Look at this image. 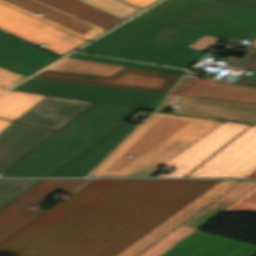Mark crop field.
Listing matches in <instances>:
<instances>
[{"label":"crop field","instance_id":"d1516ede","mask_svg":"<svg viewBox=\"0 0 256 256\" xmlns=\"http://www.w3.org/2000/svg\"><path fill=\"white\" fill-rule=\"evenodd\" d=\"M179 105L172 113L251 124L256 120V105L172 95L159 108Z\"/></svg>","mask_w":256,"mask_h":256},{"label":"crop field","instance_id":"d8731c3e","mask_svg":"<svg viewBox=\"0 0 256 256\" xmlns=\"http://www.w3.org/2000/svg\"><path fill=\"white\" fill-rule=\"evenodd\" d=\"M0 29L60 55L86 41L3 4Z\"/></svg>","mask_w":256,"mask_h":256},{"label":"crop field","instance_id":"d3111659","mask_svg":"<svg viewBox=\"0 0 256 256\" xmlns=\"http://www.w3.org/2000/svg\"><path fill=\"white\" fill-rule=\"evenodd\" d=\"M25 78L26 77L21 76L17 73L0 68V87L1 88L7 89Z\"/></svg>","mask_w":256,"mask_h":256},{"label":"crop field","instance_id":"e52e79f7","mask_svg":"<svg viewBox=\"0 0 256 256\" xmlns=\"http://www.w3.org/2000/svg\"><path fill=\"white\" fill-rule=\"evenodd\" d=\"M13 90L155 110L165 95L31 77Z\"/></svg>","mask_w":256,"mask_h":256},{"label":"crop field","instance_id":"cbeb9de0","mask_svg":"<svg viewBox=\"0 0 256 256\" xmlns=\"http://www.w3.org/2000/svg\"><path fill=\"white\" fill-rule=\"evenodd\" d=\"M247 127L225 122L167 162L166 165L177 167L168 176L183 177Z\"/></svg>","mask_w":256,"mask_h":256},{"label":"crop field","instance_id":"a9b5d70f","mask_svg":"<svg viewBox=\"0 0 256 256\" xmlns=\"http://www.w3.org/2000/svg\"><path fill=\"white\" fill-rule=\"evenodd\" d=\"M42 179H0V209Z\"/></svg>","mask_w":256,"mask_h":256},{"label":"crop field","instance_id":"5866460e","mask_svg":"<svg viewBox=\"0 0 256 256\" xmlns=\"http://www.w3.org/2000/svg\"><path fill=\"white\" fill-rule=\"evenodd\" d=\"M247 177H256V171H254L253 173H251V174L248 175Z\"/></svg>","mask_w":256,"mask_h":256},{"label":"crop field","instance_id":"00972430","mask_svg":"<svg viewBox=\"0 0 256 256\" xmlns=\"http://www.w3.org/2000/svg\"><path fill=\"white\" fill-rule=\"evenodd\" d=\"M122 68L124 67L66 57L47 69L110 76Z\"/></svg>","mask_w":256,"mask_h":256},{"label":"crop field","instance_id":"730fd06b","mask_svg":"<svg viewBox=\"0 0 256 256\" xmlns=\"http://www.w3.org/2000/svg\"><path fill=\"white\" fill-rule=\"evenodd\" d=\"M69 56L76 57V58H82V59H88V60H94V61H100V62H106V63H112V64H118V65H124V66H130V67L163 71V72H173V73L183 74L185 71L183 69L143 64V63L130 62V61H123V60L110 59V58H103V57L90 56V55H83V54H77V53H73Z\"/></svg>","mask_w":256,"mask_h":256},{"label":"crop field","instance_id":"d9b57169","mask_svg":"<svg viewBox=\"0 0 256 256\" xmlns=\"http://www.w3.org/2000/svg\"><path fill=\"white\" fill-rule=\"evenodd\" d=\"M0 3L14 7L39 20L86 40L105 30L38 0H0ZM39 13L45 16L42 17L38 15Z\"/></svg>","mask_w":256,"mask_h":256},{"label":"crop field","instance_id":"750c4746","mask_svg":"<svg viewBox=\"0 0 256 256\" xmlns=\"http://www.w3.org/2000/svg\"><path fill=\"white\" fill-rule=\"evenodd\" d=\"M0 67H3L5 69L17 72L19 74H22L26 77L36 73L37 71L32 70L30 68H27L25 66H22L20 64H17L15 62H12L10 60H7L5 58L0 57Z\"/></svg>","mask_w":256,"mask_h":256},{"label":"crop field","instance_id":"d32e631a","mask_svg":"<svg viewBox=\"0 0 256 256\" xmlns=\"http://www.w3.org/2000/svg\"><path fill=\"white\" fill-rule=\"evenodd\" d=\"M7 34H8V33H6V32H4V31H1V30H0V38L3 37V36H5V35H7Z\"/></svg>","mask_w":256,"mask_h":256},{"label":"crop field","instance_id":"bc2a9ffb","mask_svg":"<svg viewBox=\"0 0 256 256\" xmlns=\"http://www.w3.org/2000/svg\"><path fill=\"white\" fill-rule=\"evenodd\" d=\"M53 131L13 122L0 132V172Z\"/></svg>","mask_w":256,"mask_h":256},{"label":"crop field","instance_id":"5a996713","mask_svg":"<svg viewBox=\"0 0 256 256\" xmlns=\"http://www.w3.org/2000/svg\"><path fill=\"white\" fill-rule=\"evenodd\" d=\"M89 179H43L22 196L0 210V242L36 219L45 211L37 209L41 200L60 189L72 192ZM36 207L35 209L30 208Z\"/></svg>","mask_w":256,"mask_h":256},{"label":"crop field","instance_id":"733c2abd","mask_svg":"<svg viewBox=\"0 0 256 256\" xmlns=\"http://www.w3.org/2000/svg\"><path fill=\"white\" fill-rule=\"evenodd\" d=\"M92 103L46 96L15 121L57 130Z\"/></svg>","mask_w":256,"mask_h":256},{"label":"crop field","instance_id":"dafd665d","mask_svg":"<svg viewBox=\"0 0 256 256\" xmlns=\"http://www.w3.org/2000/svg\"><path fill=\"white\" fill-rule=\"evenodd\" d=\"M43 97L45 96L9 90L0 97V118L14 121Z\"/></svg>","mask_w":256,"mask_h":256},{"label":"crop field","instance_id":"120bbe31","mask_svg":"<svg viewBox=\"0 0 256 256\" xmlns=\"http://www.w3.org/2000/svg\"><path fill=\"white\" fill-rule=\"evenodd\" d=\"M11 121L0 119V131L3 130L6 126H8Z\"/></svg>","mask_w":256,"mask_h":256},{"label":"crop field","instance_id":"ac0d7876","mask_svg":"<svg viewBox=\"0 0 256 256\" xmlns=\"http://www.w3.org/2000/svg\"><path fill=\"white\" fill-rule=\"evenodd\" d=\"M222 123L217 120L156 113L136 129L90 176H147ZM129 154L134 157H127Z\"/></svg>","mask_w":256,"mask_h":256},{"label":"crop field","instance_id":"bd1437ed","mask_svg":"<svg viewBox=\"0 0 256 256\" xmlns=\"http://www.w3.org/2000/svg\"><path fill=\"white\" fill-rule=\"evenodd\" d=\"M236 83L256 86V71L247 70V72Z\"/></svg>","mask_w":256,"mask_h":256},{"label":"crop field","instance_id":"8a807250","mask_svg":"<svg viewBox=\"0 0 256 256\" xmlns=\"http://www.w3.org/2000/svg\"><path fill=\"white\" fill-rule=\"evenodd\" d=\"M217 182L93 179L0 243V256H115Z\"/></svg>","mask_w":256,"mask_h":256},{"label":"crop field","instance_id":"5142ce71","mask_svg":"<svg viewBox=\"0 0 256 256\" xmlns=\"http://www.w3.org/2000/svg\"><path fill=\"white\" fill-rule=\"evenodd\" d=\"M240 181L222 180L116 256H136Z\"/></svg>","mask_w":256,"mask_h":256},{"label":"crop field","instance_id":"4a817a6b","mask_svg":"<svg viewBox=\"0 0 256 256\" xmlns=\"http://www.w3.org/2000/svg\"><path fill=\"white\" fill-rule=\"evenodd\" d=\"M173 94L256 104V87L183 77Z\"/></svg>","mask_w":256,"mask_h":256},{"label":"crop field","instance_id":"ae1a2a85","mask_svg":"<svg viewBox=\"0 0 256 256\" xmlns=\"http://www.w3.org/2000/svg\"><path fill=\"white\" fill-rule=\"evenodd\" d=\"M252 44L249 45V48H253L251 51H253L256 48V39L251 42ZM250 51V52H251ZM250 52L245 54L241 59L235 58L233 56L227 58L225 61L237 65L241 68L244 69H251V70H256V58L247 56Z\"/></svg>","mask_w":256,"mask_h":256},{"label":"crop field","instance_id":"92a150f3","mask_svg":"<svg viewBox=\"0 0 256 256\" xmlns=\"http://www.w3.org/2000/svg\"><path fill=\"white\" fill-rule=\"evenodd\" d=\"M105 29H108L122 20L97 10L77 0H40Z\"/></svg>","mask_w":256,"mask_h":256},{"label":"crop field","instance_id":"028f5c9d","mask_svg":"<svg viewBox=\"0 0 256 256\" xmlns=\"http://www.w3.org/2000/svg\"><path fill=\"white\" fill-rule=\"evenodd\" d=\"M3 91H4V89H1V88H0V93H2Z\"/></svg>","mask_w":256,"mask_h":256},{"label":"crop field","instance_id":"eef30255","mask_svg":"<svg viewBox=\"0 0 256 256\" xmlns=\"http://www.w3.org/2000/svg\"><path fill=\"white\" fill-rule=\"evenodd\" d=\"M223 212L256 213V187Z\"/></svg>","mask_w":256,"mask_h":256},{"label":"crop field","instance_id":"214f88e0","mask_svg":"<svg viewBox=\"0 0 256 256\" xmlns=\"http://www.w3.org/2000/svg\"><path fill=\"white\" fill-rule=\"evenodd\" d=\"M0 56L37 71L60 58L11 35L0 40Z\"/></svg>","mask_w":256,"mask_h":256},{"label":"crop field","instance_id":"412701ff","mask_svg":"<svg viewBox=\"0 0 256 256\" xmlns=\"http://www.w3.org/2000/svg\"><path fill=\"white\" fill-rule=\"evenodd\" d=\"M134 18L205 34L188 46L199 51L220 38L256 37L255 12L210 0H164Z\"/></svg>","mask_w":256,"mask_h":256},{"label":"crop field","instance_id":"f4fd0767","mask_svg":"<svg viewBox=\"0 0 256 256\" xmlns=\"http://www.w3.org/2000/svg\"><path fill=\"white\" fill-rule=\"evenodd\" d=\"M136 111L96 104L22 156L25 161L16 162L0 176L47 177Z\"/></svg>","mask_w":256,"mask_h":256},{"label":"crop field","instance_id":"34b2d1b8","mask_svg":"<svg viewBox=\"0 0 256 256\" xmlns=\"http://www.w3.org/2000/svg\"><path fill=\"white\" fill-rule=\"evenodd\" d=\"M201 36L132 19L78 51L187 68L207 54L186 47Z\"/></svg>","mask_w":256,"mask_h":256},{"label":"crop field","instance_id":"dd49c442","mask_svg":"<svg viewBox=\"0 0 256 256\" xmlns=\"http://www.w3.org/2000/svg\"><path fill=\"white\" fill-rule=\"evenodd\" d=\"M256 186L241 181L138 256H253L256 246L197 230Z\"/></svg>","mask_w":256,"mask_h":256},{"label":"crop field","instance_id":"1d83c4d3","mask_svg":"<svg viewBox=\"0 0 256 256\" xmlns=\"http://www.w3.org/2000/svg\"><path fill=\"white\" fill-rule=\"evenodd\" d=\"M125 1L130 2V3L134 4V5L142 8V7L152 3L155 0H125Z\"/></svg>","mask_w":256,"mask_h":256},{"label":"crop field","instance_id":"22f410ed","mask_svg":"<svg viewBox=\"0 0 256 256\" xmlns=\"http://www.w3.org/2000/svg\"><path fill=\"white\" fill-rule=\"evenodd\" d=\"M137 125L122 122L75 155L48 177L84 176L104 159Z\"/></svg>","mask_w":256,"mask_h":256},{"label":"crop field","instance_id":"4177f3b9","mask_svg":"<svg viewBox=\"0 0 256 256\" xmlns=\"http://www.w3.org/2000/svg\"><path fill=\"white\" fill-rule=\"evenodd\" d=\"M106 13L116 16L122 20L135 14L136 10L118 0H79Z\"/></svg>","mask_w":256,"mask_h":256},{"label":"crop field","instance_id":"e1f06a70","mask_svg":"<svg viewBox=\"0 0 256 256\" xmlns=\"http://www.w3.org/2000/svg\"><path fill=\"white\" fill-rule=\"evenodd\" d=\"M254 125H256V124H254Z\"/></svg>","mask_w":256,"mask_h":256},{"label":"crop field","instance_id":"3316defc","mask_svg":"<svg viewBox=\"0 0 256 256\" xmlns=\"http://www.w3.org/2000/svg\"><path fill=\"white\" fill-rule=\"evenodd\" d=\"M256 170V126H252L187 177L244 178Z\"/></svg>","mask_w":256,"mask_h":256},{"label":"crop field","instance_id":"28ad6ade","mask_svg":"<svg viewBox=\"0 0 256 256\" xmlns=\"http://www.w3.org/2000/svg\"><path fill=\"white\" fill-rule=\"evenodd\" d=\"M35 77L168 93L179 76L126 67L111 77L44 70ZM172 89V88H171Z\"/></svg>","mask_w":256,"mask_h":256}]
</instances>
